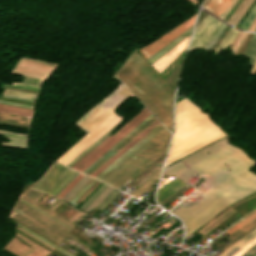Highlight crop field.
Here are the masks:
<instances>
[{"instance_id":"obj_1","label":"crop field","mask_w":256,"mask_h":256,"mask_svg":"<svg viewBox=\"0 0 256 256\" xmlns=\"http://www.w3.org/2000/svg\"><path fill=\"white\" fill-rule=\"evenodd\" d=\"M116 77L171 130L172 89L136 52Z\"/></svg>"},{"instance_id":"obj_2","label":"crop field","mask_w":256,"mask_h":256,"mask_svg":"<svg viewBox=\"0 0 256 256\" xmlns=\"http://www.w3.org/2000/svg\"><path fill=\"white\" fill-rule=\"evenodd\" d=\"M224 136L207 116L184 99L176 103L175 132L166 165Z\"/></svg>"},{"instance_id":"obj_3","label":"crop field","mask_w":256,"mask_h":256,"mask_svg":"<svg viewBox=\"0 0 256 256\" xmlns=\"http://www.w3.org/2000/svg\"><path fill=\"white\" fill-rule=\"evenodd\" d=\"M168 133L159 123L95 178L108 184Z\"/></svg>"},{"instance_id":"obj_4","label":"crop field","mask_w":256,"mask_h":256,"mask_svg":"<svg viewBox=\"0 0 256 256\" xmlns=\"http://www.w3.org/2000/svg\"><path fill=\"white\" fill-rule=\"evenodd\" d=\"M128 92L129 91L121 84L105 99H103L95 108L91 109L88 114H86L79 122H77V124L84 129ZM131 95L132 94L130 92L126 94L122 99H120L116 104H114L110 109L103 113L99 118H97L84 130L89 132L103 119H105L109 114H111L115 109H117L121 104H123Z\"/></svg>"},{"instance_id":"obj_5","label":"crop field","mask_w":256,"mask_h":256,"mask_svg":"<svg viewBox=\"0 0 256 256\" xmlns=\"http://www.w3.org/2000/svg\"><path fill=\"white\" fill-rule=\"evenodd\" d=\"M150 114L151 113L144 107L113 136L110 135L106 138L100 145H98L92 152L74 166L73 169L82 172Z\"/></svg>"},{"instance_id":"obj_6","label":"crop field","mask_w":256,"mask_h":256,"mask_svg":"<svg viewBox=\"0 0 256 256\" xmlns=\"http://www.w3.org/2000/svg\"><path fill=\"white\" fill-rule=\"evenodd\" d=\"M169 136H170V133L167 136H165L161 141H159L155 146H153L149 151H147L143 156H141L130 167H128L124 172H122L118 177H116L112 182H110L109 185H112L118 188L125 181H127L128 179L132 180L135 176H137L140 172H142L154 160H156L164 152H166ZM130 180L125 182L118 189L120 190L128 182H130Z\"/></svg>"},{"instance_id":"obj_7","label":"crop field","mask_w":256,"mask_h":256,"mask_svg":"<svg viewBox=\"0 0 256 256\" xmlns=\"http://www.w3.org/2000/svg\"><path fill=\"white\" fill-rule=\"evenodd\" d=\"M121 119L122 117L118 116L116 113L113 112L111 115H109L93 130H91L87 136H85L81 141H79L75 146H73L57 161L67 165L73 159H75L78 155H80L85 149H87L92 143H94L97 139H99L103 134H105L110 128H112Z\"/></svg>"},{"instance_id":"obj_8","label":"crop field","mask_w":256,"mask_h":256,"mask_svg":"<svg viewBox=\"0 0 256 256\" xmlns=\"http://www.w3.org/2000/svg\"><path fill=\"white\" fill-rule=\"evenodd\" d=\"M75 173L63 165L54 164L32 188L54 195Z\"/></svg>"},{"instance_id":"obj_9","label":"crop field","mask_w":256,"mask_h":256,"mask_svg":"<svg viewBox=\"0 0 256 256\" xmlns=\"http://www.w3.org/2000/svg\"><path fill=\"white\" fill-rule=\"evenodd\" d=\"M196 14L187 19L186 21H184L183 23H181L180 25H178L177 27L173 28L160 38L154 40L152 43L138 50L141 52L145 59H148L157 51H159L162 47H164L166 44L172 41L175 37H177L180 33L186 30L189 26H191L194 23Z\"/></svg>"},{"instance_id":"obj_10","label":"crop field","mask_w":256,"mask_h":256,"mask_svg":"<svg viewBox=\"0 0 256 256\" xmlns=\"http://www.w3.org/2000/svg\"><path fill=\"white\" fill-rule=\"evenodd\" d=\"M153 115L151 114L149 117H147L143 122H141L135 129H133L129 134H127L122 140H120L115 146H117L121 141H123L127 136H129L132 132H134L138 127H140L144 122H146L150 117ZM156 118L153 116L150 118L146 123H144L140 128H138L134 133H132L128 138H126L123 142H121L117 147L113 146L109 151H111L114 147V149L109 152L107 151L103 156H105L108 152V154L103 157L101 156L97 161H95L91 166H89L83 173H85L88 169H90L96 162H98L102 157V159L96 163L90 170L86 172V174L90 175L94 170H96L102 163H104L108 158H110L114 153H116L121 147H123L128 141H130L135 135H137L141 130H143L147 125H149L153 120Z\"/></svg>"},{"instance_id":"obj_11","label":"crop field","mask_w":256,"mask_h":256,"mask_svg":"<svg viewBox=\"0 0 256 256\" xmlns=\"http://www.w3.org/2000/svg\"><path fill=\"white\" fill-rule=\"evenodd\" d=\"M219 22V20L208 15L196 27L189 50L199 48V46L204 42V40L209 36V34L213 31V29L218 25Z\"/></svg>"},{"instance_id":"obj_12","label":"crop field","mask_w":256,"mask_h":256,"mask_svg":"<svg viewBox=\"0 0 256 256\" xmlns=\"http://www.w3.org/2000/svg\"><path fill=\"white\" fill-rule=\"evenodd\" d=\"M189 36L176 44L172 49L152 64L153 68L159 74L185 50Z\"/></svg>"},{"instance_id":"obj_13","label":"crop field","mask_w":256,"mask_h":256,"mask_svg":"<svg viewBox=\"0 0 256 256\" xmlns=\"http://www.w3.org/2000/svg\"><path fill=\"white\" fill-rule=\"evenodd\" d=\"M159 122L156 119L149 126H147L143 131H141L137 136H135L129 143H127L122 149H120L115 155H113L108 161H106L101 167H99L91 176L95 177L103 169H105L110 163H112L116 158H118L123 152H125L129 147H131L136 141H138L142 136H144L149 130H151Z\"/></svg>"},{"instance_id":"obj_14","label":"crop field","mask_w":256,"mask_h":256,"mask_svg":"<svg viewBox=\"0 0 256 256\" xmlns=\"http://www.w3.org/2000/svg\"><path fill=\"white\" fill-rule=\"evenodd\" d=\"M185 184L186 183L175 178L171 182L163 186L161 189H159L157 194V201L159 202V204Z\"/></svg>"},{"instance_id":"obj_15","label":"crop field","mask_w":256,"mask_h":256,"mask_svg":"<svg viewBox=\"0 0 256 256\" xmlns=\"http://www.w3.org/2000/svg\"><path fill=\"white\" fill-rule=\"evenodd\" d=\"M101 182L91 178L84 187L68 201L73 205H78L84 198H86Z\"/></svg>"},{"instance_id":"obj_16","label":"crop field","mask_w":256,"mask_h":256,"mask_svg":"<svg viewBox=\"0 0 256 256\" xmlns=\"http://www.w3.org/2000/svg\"><path fill=\"white\" fill-rule=\"evenodd\" d=\"M0 133L10 139L9 143L2 142L1 144L26 148L25 147L26 135L15 134V133L6 132V131H0Z\"/></svg>"},{"instance_id":"obj_17","label":"crop field","mask_w":256,"mask_h":256,"mask_svg":"<svg viewBox=\"0 0 256 256\" xmlns=\"http://www.w3.org/2000/svg\"><path fill=\"white\" fill-rule=\"evenodd\" d=\"M193 25L189 27L186 31H184L182 34H180L177 38H175L172 42H170L168 45H166L164 48H162L159 52H157L155 55H153L151 58L148 59V62L151 64L156 59L161 57L164 53H166L170 48H172L176 43H178L181 39H183L185 36H187Z\"/></svg>"},{"instance_id":"obj_18","label":"crop field","mask_w":256,"mask_h":256,"mask_svg":"<svg viewBox=\"0 0 256 256\" xmlns=\"http://www.w3.org/2000/svg\"><path fill=\"white\" fill-rule=\"evenodd\" d=\"M31 111H32V109H29V108H23V107L0 104V112H2V113H8V114H15V115L30 117L31 116Z\"/></svg>"},{"instance_id":"obj_19","label":"crop field","mask_w":256,"mask_h":256,"mask_svg":"<svg viewBox=\"0 0 256 256\" xmlns=\"http://www.w3.org/2000/svg\"><path fill=\"white\" fill-rule=\"evenodd\" d=\"M236 1L237 0H222L212 14L223 19Z\"/></svg>"},{"instance_id":"obj_20","label":"crop field","mask_w":256,"mask_h":256,"mask_svg":"<svg viewBox=\"0 0 256 256\" xmlns=\"http://www.w3.org/2000/svg\"><path fill=\"white\" fill-rule=\"evenodd\" d=\"M254 228H256V220L252 221L251 223L247 224L246 226L242 227L241 229L237 230L236 232L232 233L227 237L230 241H237L250 231H252Z\"/></svg>"},{"instance_id":"obj_21","label":"crop field","mask_w":256,"mask_h":256,"mask_svg":"<svg viewBox=\"0 0 256 256\" xmlns=\"http://www.w3.org/2000/svg\"><path fill=\"white\" fill-rule=\"evenodd\" d=\"M244 55L250 58L249 65L252 66L255 58H256V34H253L251 40L249 41L247 47L245 48Z\"/></svg>"},{"instance_id":"obj_22","label":"crop field","mask_w":256,"mask_h":256,"mask_svg":"<svg viewBox=\"0 0 256 256\" xmlns=\"http://www.w3.org/2000/svg\"><path fill=\"white\" fill-rule=\"evenodd\" d=\"M237 32L238 31L230 28L228 33L225 35V37L223 38L221 43L216 48L215 52L218 53L222 48H225L227 45H229L231 43V41L233 40V38L235 37V35L237 34Z\"/></svg>"},{"instance_id":"obj_23","label":"crop field","mask_w":256,"mask_h":256,"mask_svg":"<svg viewBox=\"0 0 256 256\" xmlns=\"http://www.w3.org/2000/svg\"><path fill=\"white\" fill-rule=\"evenodd\" d=\"M121 192L118 190H113L98 206L97 209L99 210H103L107 205H109L118 194H120Z\"/></svg>"},{"instance_id":"obj_24","label":"crop field","mask_w":256,"mask_h":256,"mask_svg":"<svg viewBox=\"0 0 256 256\" xmlns=\"http://www.w3.org/2000/svg\"><path fill=\"white\" fill-rule=\"evenodd\" d=\"M183 60L179 63V65L170 73V75L165 79L169 84L172 85V87H175L176 80L181 68Z\"/></svg>"},{"instance_id":"obj_25","label":"crop field","mask_w":256,"mask_h":256,"mask_svg":"<svg viewBox=\"0 0 256 256\" xmlns=\"http://www.w3.org/2000/svg\"><path fill=\"white\" fill-rule=\"evenodd\" d=\"M256 16V4L253 7V9L250 11V13L248 14V16L245 18V20L243 21V23L240 25L239 28L241 29H245L247 30V28L249 27V25L251 24V22L253 21V19Z\"/></svg>"},{"instance_id":"obj_26","label":"crop field","mask_w":256,"mask_h":256,"mask_svg":"<svg viewBox=\"0 0 256 256\" xmlns=\"http://www.w3.org/2000/svg\"><path fill=\"white\" fill-rule=\"evenodd\" d=\"M256 218V213L252 214L250 216H248L247 218H245L244 220H242L241 222H239L238 224L234 225L233 227H231L227 233L231 234L232 232L236 231L237 229L241 228L242 226L246 225L247 223L251 222L252 220H254Z\"/></svg>"},{"instance_id":"obj_27","label":"crop field","mask_w":256,"mask_h":256,"mask_svg":"<svg viewBox=\"0 0 256 256\" xmlns=\"http://www.w3.org/2000/svg\"><path fill=\"white\" fill-rule=\"evenodd\" d=\"M226 25L222 23V25L218 28V30L215 32V34L211 37V39L208 41V43L205 45L203 49L208 50L212 46V44L215 42L217 37L220 35L222 30L225 28Z\"/></svg>"},{"instance_id":"obj_28","label":"crop field","mask_w":256,"mask_h":256,"mask_svg":"<svg viewBox=\"0 0 256 256\" xmlns=\"http://www.w3.org/2000/svg\"><path fill=\"white\" fill-rule=\"evenodd\" d=\"M2 85L24 88V89H30V90H36V91H38L39 87H40V86H37V85H30V84H23V83H12V85L2 83Z\"/></svg>"},{"instance_id":"obj_29","label":"crop field","mask_w":256,"mask_h":256,"mask_svg":"<svg viewBox=\"0 0 256 256\" xmlns=\"http://www.w3.org/2000/svg\"><path fill=\"white\" fill-rule=\"evenodd\" d=\"M82 177L83 175L79 174L57 197L61 199Z\"/></svg>"},{"instance_id":"obj_30","label":"crop field","mask_w":256,"mask_h":256,"mask_svg":"<svg viewBox=\"0 0 256 256\" xmlns=\"http://www.w3.org/2000/svg\"><path fill=\"white\" fill-rule=\"evenodd\" d=\"M123 119L119 122L121 123ZM119 123H117L110 131H108L104 136H102L98 141H96L91 147H89L85 152H83L79 157H77L75 160H73L70 164L67 166L69 167L72 165L75 161H77L80 157H82L85 153H87L92 147H94L98 142H100L105 136H107Z\"/></svg>"},{"instance_id":"obj_31","label":"crop field","mask_w":256,"mask_h":256,"mask_svg":"<svg viewBox=\"0 0 256 256\" xmlns=\"http://www.w3.org/2000/svg\"><path fill=\"white\" fill-rule=\"evenodd\" d=\"M19 226H21V229H23V230L29 232L30 234L36 236L37 238H39L40 240L44 241V242L47 243L48 245H50V246H52V247H54V248L57 246V245L53 244L52 242L46 240L45 238L41 237L40 235L34 233L33 231L29 230L28 228H26V227H24V226H22L21 224L18 223V227H19Z\"/></svg>"},{"instance_id":"obj_32","label":"crop field","mask_w":256,"mask_h":256,"mask_svg":"<svg viewBox=\"0 0 256 256\" xmlns=\"http://www.w3.org/2000/svg\"><path fill=\"white\" fill-rule=\"evenodd\" d=\"M220 2L221 0H209L203 8L212 13Z\"/></svg>"},{"instance_id":"obj_33","label":"crop field","mask_w":256,"mask_h":256,"mask_svg":"<svg viewBox=\"0 0 256 256\" xmlns=\"http://www.w3.org/2000/svg\"><path fill=\"white\" fill-rule=\"evenodd\" d=\"M0 125L24 128V129H26V127H27V125H24V124H18V123L6 122V121H0Z\"/></svg>"},{"instance_id":"obj_34","label":"crop field","mask_w":256,"mask_h":256,"mask_svg":"<svg viewBox=\"0 0 256 256\" xmlns=\"http://www.w3.org/2000/svg\"><path fill=\"white\" fill-rule=\"evenodd\" d=\"M256 243V239H254L252 242H250L249 244H247L246 246H244L243 248H241L237 253H235L232 256H240L242 253H244L249 247H251L252 245H254Z\"/></svg>"},{"instance_id":"obj_35","label":"crop field","mask_w":256,"mask_h":256,"mask_svg":"<svg viewBox=\"0 0 256 256\" xmlns=\"http://www.w3.org/2000/svg\"><path fill=\"white\" fill-rule=\"evenodd\" d=\"M256 251V245L255 246H253V247H251V248H249L243 255H241V256H249V255H251L253 252H255ZM256 256V255H255Z\"/></svg>"},{"instance_id":"obj_36","label":"crop field","mask_w":256,"mask_h":256,"mask_svg":"<svg viewBox=\"0 0 256 256\" xmlns=\"http://www.w3.org/2000/svg\"><path fill=\"white\" fill-rule=\"evenodd\" d=\"M0 99L9 100V101H15V102H20V103H25V104L32 105V103H30V102H24V101H18V100L6 99V98H0Z\"/></svg>"},{"instance_id":"obj_37","label":"crop field","mask_w":256,"mask_h":256,"mask_svg":"<svg viewBox=\"0 0 256 256\" xmlns=\"http://www.w3.org/2000/svg\"><path fill=\"white\" fill-rule=\"evenodd\" d=\"M56 249L59 250L60 252L64 253V254H66L67 256H74V255H72V254H70V253H68V252H66V251H64V250H62V249L59 248L58 246H57Z\"/></svg>"},{"instance_id":"obj_38","label":"crop field","mask_w":256,"mask_h":256,"mask_svg":"<svg viewBox=\"0 0 256 256\" xmlns=\"http://www.w3.org/2000/svg\"><path fill=\"white\" fill-rule=\"evenodd\" d=\"M20 200H22V199H20ZM23 201V200H22ZM25 202V201H24ZM26 204V203H25ZM28 204V203H27ZM30 205V204H29ZM30 206H32V205H30ZM33 207V206H32ZM35 208V207H34ZM36 210H38V211H40L41 213H43V214H45V215H47L46 213H44V212H42L41 210H39V209H37V208H35ZM47 216H49V215H47ZM49 217H51V216H49ZM52 218V217H51ZM54 219V218H53ZM54 220H56V219H54ZM57 221V220H56ZM59 222V221H58ZM61 223V222H60ZM59 223V224H60ZM62 224V223H61ZM64 225V224H63ZM64 226H66V225H64ZM67 227V226H66ZM69 228V227H68ZM69 229H71V228H69Z\"/></svg>"},{"instance_id":"obj_39","label":"crop field","mask_w":256,"mask_h":256,"mask_svg":"<svg viewBox=\"0 0 256 256\" xmlns=\"http://www.w3.org/2000/svg\"><path fill=\"white\" fill-rule=\"evenodd\" d=\"M222 22H220L221 24ZM220 24L216 27V29L212 32V34L209 36V38L205 41V43L202 45V47L200 49L203 48V46L206 44V42L210 39V37L213 35V33L217 30V28L220 26ZM222 25V24H221Z\"/></svg>"},{"instance_id":"obj_40","label":"crop field","mask_w":256,"mask_h":256,"mask_svg":"<svg viewBox=\"0 0 256 256\" xmlns=\"http://www.w3.org/2000/svg\"><path fill=\"white\" fill-rule=\"evenodd\" d=\"M78 174V172L73 176V178ZM73 178L62 188L60 189L54 196H56L61 190H63L72 180Z\"/></svg>"},{"instance_id":"obj_41","label":"crop field","mask_w":256,"mask_h":256,"mask_svg":"<svg viewBox=\"0 0 256 256\" xmlns=\"http://www.w3.org/2000/svg\"><path fill=\"white\" fill-rule=\"evenodd\" d=\"M254 212H256V209H254V210H252V211H250V212H248V213H246V214H244L245 216H248V215H250V214H252V213H254Z\"/></svg>"},{"instance_id":"obj_42","label":"crop field","mask_w":256,"mask_h":256,"mask_svg":"<svg viewBox=\"0 0 256 256\" xmlns=\"http://www.w3.org/2000/svg\"><path fill=\"white\" fill-rule=\"evenodd\" d=\"M255 65H256V61H255L254 64H253V67H252V69H251V72H252L253 68L255 67ZM251 72H250V73H251Z\"/></svg>"},{"instance_id":"obj_43","label":"crop field","mask_w":256,"mask_h":256,"mask_svg":"<svg viewBox=\"0 0 256 256\" xmlns=\"http://www.w3.org/2000/svg\"><path fill=\"white\" fill-rule=\"evenodd\" d=\"M180 239H182V237H181V238H179V239H177L175 242H177V241H178V240H180ZM175 242H173V243H175ZM173 243H172V244H173Z\"/></svg>"},{"instance_id":"obj_44","label":"crop field","mask_w":256,"mask_h":256,"mask_svg":"<svg viewBox=\"0 0 256 256\" xmlns=\"http://www.w3.org/2000/svg\"><path fill=\"white\" fill-rule=\"evenodd\" d=\"M97 207H98V206H97ZM97 207H96V208H97ZM96 208H95V209H96ZM95 209H94V210H95ZM94 210H93V211H94ZM93 211L90 213V215L93 213Z\"/></svg>"},{"instance_id":"obj_45","label":"crop field","mask_w":256,"mask_h":256,"mask_svg":"<svg viewBox=\"0 0 256 256\" xmlns=\"http://www.w3.org/2000/svg\"><path fill=\"white\" fill-rule=\"evenodd\" d=\"M255 32H256V29H255Z\"/></svg>"}]
</instances>
